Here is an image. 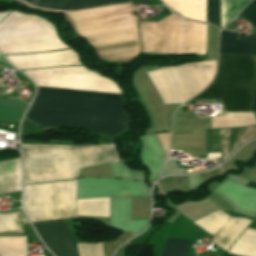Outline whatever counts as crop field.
<instances>
[{"label":"crop field","instance_id":"21","mask_svg":"<svg viewBox=\"0 0 256 256\" xmlns=\"http://www.w3.org/2000/svg\"><path fill=\"white\" fill-rule=\"evenodd\" d=\"M228 256H234V255H230V254H229Z\"/></svg>","mask_w":256,"mask_h":256},{"label":"crop field","instance_id":"17","mask_svg":"<svg viewBox=\"0 0 256 256\" xmlns=\"http://www.w3.org/2000/svg\"><path fill=\"white\" fill-rule=\"evenodd\" d=\"M225 254L222 253H216V252H210L208 251L205 254H198V256H224Z\"/></svg>","mask_w":256,"mask_h":256},{"label":"crop field","instance_id":"20","mask_svg":"<svg viewBox=\"0 0 256 256\" xmlns=\"http://www.w3.org/2000/svg\"><path fill=\"white\" fill-rule=\"evenodd\" d=\"M136 1H148V0H131V2H136Z\"/></svg>","mask_w":256,"mask_h":256},{"label":"crop field","instance_id":"4","mask_svg":"<svg viewBox=\"0 0 256 256\" xmlns=\"http://www.w3.org/2000/svg\"><path fill=\"white\" fill-rule=\"evenodd\" d=\"M141 51L205 54L207 25L172 13L157 22H138Z\"/></svg>","mask_w":256,"mask_h":256},{"label":"crop field","instance_id":"9","mask_svg":"<svg viewBox=\"0 0 256 256\" xmlns=\"http://www.w3.org/2000/svg\"><path fill=\"white\" fill-rule=\"evenodd\" d=\"M250 0H221V28ZM207 22L220 29V0H208Z\"/></svg>","mask_w":256,"mask_h":256},{"label":"crop field","instance_id":"12","mask_svg":"<svg viewBox=\"0 0 256 256\" xmlns=\"http://www.w3.org/2000/svg\"><path fill=\"white\" fill-rule=\"evenodd\" d=\"M170 10L189 19L206 22L207 0H162Z\"/></svg>","mask_w":256,"mask_h":256},{"label":"crop field","instance_id":"1","mask_svg":"<svg viewBox=\"0 0 256 256\" xmlns=\"http://www.w3.org/2000/svg\"><path fill=\"white\" fill-rule=\"evenodd\" d=\"M122 95L37 87L25 119L44 127H77L116 136L129 118Z\"/></svg>","mask_w":256,"mask_h":256},{"label":"crop field","instance_id":"3","mask_svg":"<svg viewBox=\"0 0 256 256\" xmlns=\"http://www.w3.org/2000/svg\"><path fill=\"white\" fill-rule=\"evenodd\" d=\"M25 184L75 179L87 166L119 161L115 145H21Z\"/></svg>","mask_w":256,"mask_h":256},{"label":"crop field","instance_id":"14","mask_svg":"<svg viewBox=\"0 0 256 256\" xmlns=\"http://www.w3.org/2000/svg\"><path fill=\"white\" fill-rule=\"evenodd\" d=\"M191 241L167 238L161 256H187Z\"/></svg>","mask_w":256,"mask_h":256},{"label":"crop field","instance_id":"13","mask_svg":"<svg viewBox=\"0 0 256 256\" xmlns=\"http://www.w3.org/2000/svg\"><path fill=\"white\" fill-rule=\"evenodd\" d=\"M28 223L21 209L0 212V235L24 233L20 224Z\"/></svg>","mask_w":256,"mask_h":256},{"label":"crop field","instance_id":"5","mask_svg":"<svg viewBox=\"0 0 256 256\" xmlns=\"http://www.w3.org/2000/svg\"><path fill=\"white\" fill-rule=\"evenodd\" d=\"M253 85L254 57L219 55L214 81L192 99H220L225 111H249Z\"/></svg>","mask_w":256,"mask_h":256},{"label":"crop field","instance_id":"11","mask_svg":"<svg viewBox=\"0 0 256 256\" xmlns=\"http://www.w3.org/2000/svg\"><path fill=\"white\" fill-rule=\"evenodd\" d=\"M22 177L19 158L0 162V194L21 191Z\"/></svg>","mask_w":256,"mask_h":256},{"label":"crop field","instance_id":"2","mask_svg":"<svg viewBox=\"0 0 256 256\" xmlns=\"http://www.w3.org/2000/svg\"><path fill=\"white\" fill-rule=\"evenodd\" d=\"M135 11L126 3L63 14L98 59L131 61L139 51Z\"/></svg>","mask_w":256,"mask_h":256},{"label":"crop field","instance_id":"19","mask_svg":"<svg viewBox=\"0 0 256 256\" xmlns=\"http://www.w3.org/2000/svg\"><path fill=\"white\" fill-rule=\"evenodd\" d=\"M11 11H7V12H3V13H0V21L7 15L9 14Z\"/></svg>","mask_w":256,"mask_h":256},{"label":"crop field","instance_id":"7","mask_svg":"<svg viewBox=\"0 0 256 256\" xmlns=\"http://www.w3.org/2000/svg\"><path fill=\"white\" fill-rule=\"evenodd\" d=\"M34 228L55 256H79L76 241L65 222L36 225Z\"/></svg>","mask_w":256,"mask_h":256},{"label":"crop field","instance_id":"6","mask_svg":"<svg viewBox=\"0 0 256 256\" xmlns=\"http://www.w3.org/2000/svg\"><path fill=\"white\" fill-rule=\"evenodd\" d=\"M23 208L30 222L76 216V180L24 186Z\"/></svg>","mask_w":256,"mask_h":256},{"label":"crop field","instance_id":"16","mask_svg":"<svg viewBox=\"0 0 256 256\" xmlns=\"http://www.w3.org/2000/svg\"><path fill=\"white\" fill-rule=\"evenodd\" d=\"M239 16H242L249 20L251 26L253 28H256V0H253L240 14ZM247 20V21H248Z\"/></svg>","mask_w":256,"mask_h":256},{"label":"crop field","instance_id":"10","mask_svg":"<svg viewBox=\"0 0 256 256\" xmlns=\"http://www.w3.org/2000/svg\"><path fill=\"white\" fill-rule=\"evenodd\" d=\"M219 54L251 55L256 54V33L236 39V33L222 30Z\"/></svg>","mask_w":256,"mask_h":256},{"label":"crop field","instance_id":"18","mask_svg":"<svg viewBox=\"0 0 256 256\" xmlns=\"http://www.w3.org/2000/svg\"><path fill=\"white\" fill-rule=\"evenodd\" d=\"M252 111L256 112V84H255V91H254V97H253Z\"/></svg>","mask_w":256,"mask_h":256},{"label":"crop field","instance_id":"15","mask_svg":"<svg viewBox=\"0 0 256 256\" xmlns=\"http://www.w3.org/2000/svg\"><path fill=\"white\" fill-rule=\"evenodd\" d=\"M24 110L0 106V120L19 122Z\"/></svg>","mask_w":256,"mask_h":256},{"label":"crop field","instance_id":"8","mask_svg":"<svg viewBox=\"0 0 256 256\" xmlns=\"http://www.w3.org/2000/svg\"><path fill=\"white\" fill-rule=\"evenodd\" d=\"M29 5L55 10H79L126 3L129 0H21Z\"/></svg>","mask_w":256,"mask_h":256}]
</instances>
